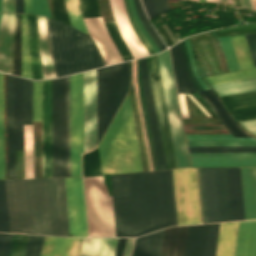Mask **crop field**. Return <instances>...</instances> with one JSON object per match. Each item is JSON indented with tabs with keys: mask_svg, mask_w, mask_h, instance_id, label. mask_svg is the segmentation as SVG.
I'll return each instance as SVG.
<instances>
[{
	"mask_svg": "<svg viewBox=\"0 0 256 256\" xmlns=\"http://www.w3.org/2000/svg\"><path fill=\"white\" fill-rule=\"evenodd\" d=\"M10 232L87 236L82 178L5 180Z\"/></svg>",
	"mask_w": 256,
	"mask_h": 256,
	"instance_id": "1",
	"label": "crop field"
},
{
	"mask_svg": "<svg viewBox=\"0 0 256 256\" xmlns=\"http://www.w3.org/2000/svg\"><path fill=\"white\" fill-rule=\"evenodd\" d=\"M116 236L152 231L146 172L111 176Z\"/></svg>",
	"mask_w": 256,
	"mask_h": 256,
	"instance_id": "2",
	"label": "crop field"
},
{
	"mask_svg": "<svg viewBox=\"0 0 256 256\" xmlns=\"http://www.w3.org/2000/svg\"><path fill=\"white\" fill-rule=\"evenodd\" d=\"M98 149L103 175L143 171L129 95Z\"/></svg>",
	"mask_w": 256,
	"mask_h": 256,
	"instance_id": "3",
	"label": "crop field"
},
{
	"mask_svg": "<svg viewBox=\"0 0 256 256\" xmlns=\"http://www.w3.org/2000/svg\"><path fill=\"white\" fill-rule=\"evenodd\" d=\"M46 22L57 77L104 65L86 34L60 21Z\"/></svg>",
	"mask_w": 256,
	"mask_h": 256,
	"instance_id": "4",
	"label": "crop field"
},
{
	"mask_svg": "<svg viewBox=\"0 0 256 256\" xmlns=\"http://www.w3.org/2000/svg\"><path fill=\"white\" fill-rule=\"evenodd\" d=\"M128 91V62L97 70L98 142Z\"/></svg>",
	"mask_w": 256,
	"mask_h": 256,
	"instance_id": "5",
	"label": "crop field"
},
{
	"mask_svg": "<svg viewBox=\"0 0 256 256\" xmlns=\"http://www.w3.org/2000/svg\"><path fill=\"white\" fill-rule=\"evenodd\" d=\"M90 236H115L112 197L103 176L84 178Z\"/></svg>",
	"mask_w": 256,
	"mask_h": 256,
	"instance_id": "6",
	"label": "crop field"
},
{
	"mask_svg": "<svg viewBox=\"0 0 256 256\" xmlns=\"http://www.w3.org/2000/svg\"><path fill=\"white\" fill-rule=\"evenodd\" d=\"M153 231L177 225L172 170L147 172Z\"/></svg>",
	"mask_w": 256,
	"mask_h": 256,
	"instance_id": "7",
	"label": "crop field"
},
{
	"mask_svg": "<svg viewBox=\"0 0 256 256\" xmlns=\"http://www.w3.org/2000/svg\"><path fill=\"white\" fill-rule=\"evenodd\" d=\"M53 177L67 176L66 77L52 80Z\"/></svg>",
	"mask_w": 256,
	"mask_h": 256,
	"instance_id": "8",
	"label": "crop field"
},
{
	"mask_svg": "<svg viewBox=\"0 0 256 256\" xmlns=\"http://www.w3.org/2000/svg\"><path fill=\"white\" fill-rule=\"evenodd\" d=\"M207 222L231 220L226 168H202Z\"/></svg>",
	"mask_w": 256,
	"mask_h": 256,
	"instance_id": "9",
	"label": "crop field"
},
{
	"mask_svg": "<svg viewBox=\"0 0 256 256\" xmlns=\"http://www.w3.org/2000/svg\"><path fill=\"white\" fill-rule=\"evenodd\" d=\"M178 168L189 167L168 50L158 54Z\"/></svg>",
	"mask_w": 256,
	"mask_h": 256,
	"instance_id": "10",
	"label": "crop field"
},
{
	"mask_svg": "<svg viewBox=\"0 0 256 256\" xmlns=\"http://www.w3.org/2000/svg\"><path fill=\"white\" fill-rule=\"evenodd\" d=\"M178 225L200 223L195 168L173 170Z\"/></svg>",
	"mask_w": 256,
	"mask_h": 256,
	"instance_id": "11",
	"label": "crop field"
},
{
	"mask_svg": "<svg viewBox=\"0 0 256 256\" xmlns=\"http://www.w3.org/2000/svg\"><path fill=\"white\" fill-rule=\"evenodd\" d=\"M71 176H81L84 152L83 73L70 76Z\"/></svg>",
	"mask_w": 256,
	"mask_h": 256,
	"instance_id": "12",
	"label": "crop field"
},
{
	"mask_svg": "<svg viewBox=\"0 0 256 256\" xmlns=\"http://www.w3.org/2000/svg\"><path fill=\"white\" fill-rule=\"evenodd\" d=\"M147 66L149 71L150 83L152 88V94L154 99L155 111L157 116V122L159 127L160 139L162 144V150L164 155L166 169L177 168L175 154L173 149L171 131L169 126L168 114L166 109L165 97L163 92L161 74L159 69L157 55L147 57ZM158 69L160 75V81H153L151 74L154 71L155 78H157L156 70Z\"/></svg>",
	"mask_w": 256,
	"mask_h": 256,
	"instance_id": "13",
	"label": "crop field"
},
{
	"mask_svg": "<svg viewBox=\"0 0 256 256\" xmlns=\"http://www.w3.org/2000/svg\"><path fill=\"white\" fill-rule=\"evenodd\" d=\"M83 17L101 15L98 0H79ZM107 65L122 62L101 16L83 18Z\"/></svg>",
	"mask_w": 256,
	"mask_h": 256,
	"instance_id": "14",
	"label": "crop field"
},
{
	"mask_svg": "<svg viewBox=\"0 0 256 256\" xmlns=\"http://www.w3.org/2000/svg\"><path fill=\"white\" fill-rule=\"evenodd\" d=\"M85 152L97 145L96 70L84 73Z\"/></svg>",
	"mask_w": 256,
	"mask_h": 256,
	"instance_id": "15",
	"label": "crop field"
},
{
	"mask_svg": "<svg viewBox=\"0 0 256 256\" xmlns=\"http://www.w3.org/2000/svg\"><path fill=\"white\" fill-rule=\"evenodd\" d=\"M43 177H52L51 80L42 81Z\"/></svg>",
	"mask_w": 256,
	"mask_h": 256,
	"instance_id": "16",
	"label": "crop field"
},
{
	"mask_svg": "<svg viewBox=\"0 0 256 256\" xmlns=\"http://www.w3.org/2000/svg\"><path fill=\"white\" fill-rule=\"evenodd\" d=\"M110 2L116 23L134 58L149 55L132 28L124 0H110Z\"/></svg>",
	"mask_w": 256,
	"mask_h": 256,
	"instance_id": "17",
	"label": "crop field"
},
{
	"mask_svg": "<svg viewBox=\"0 0 256 256\" xmlns=\"http://www.w3.org/2000/svg\"><path fill=\"white\" fill-rule=\"evenodd\" d=\"M140 76L158 170L165 169L145 58L140 59Z\"/></svg>",
	"mask_w": 256,
	"mask_h": 256,
	"instance_id": "18",
	"label": "crop field"
},
{
	"mask_svg": "<svg viewBox=\"0 0 256 256\" xmlns=\"http://www.w3.org/2000/svg\"><path fill=\"white\" fill-rule=\"evenodd\" d=\"M190 156H256V153H189ZM193 167L256 166V157H191Z\"/></svg>",
	"mask_w": 256,
	"mask_h": 256,
	"instance_id": "19",
	"label": "crop field"
},
{
	"mask_svg": "<svg viewBox=\"0 0 256 256\" xmlns=\"http://www.w3.org/2000/svg\"><path fill=\"white\" fill-rule=\"evenodd\" d=\"M31 78L43 79L37 20L35 15H25Z\"/></svg>",
	"mask_w": 256,
	"mask_h": 256,
	"instance_id": "20",
	"label": "crop field"
},
{
	"mask_svg": "<svg viewBox=\"0 0 256 256\" xmlns=\"http://www.w3.org/2000/svg\"><path fill=\"white\" fill-rule=\"evenodd\" d=\"M221 99L237 121L256 118V91L223 96Z\"/></svg>",
	"mask_w": 256,
	"mask_h": 256,
	"instance_id": "21",
	"label": "crop field"
},
{
	"mask_svg": "<svg viewBox=\"0 0 256 256\" xmlns=\"http://www.w3.org/2000/svg\"><path fill=\"white\" fill-rule=\"evenodd\" d=\"M8 178H15L14 76L7 75Z\"/></svg>",
	"mask_w": 256,
	"mask_h": 256,
	"instance_id": "22",
	"label": "crop field"
},
{
	"mask_svg": "<svg viewBox=\"0 0 256 256\" xmlns=\"http://www.w3.org/2000/svg\"><path fill=\"white\" fill-rule=\"evenodd\" d=\"M83 238L45 237L41 256H79Z\"/></svg>",
	"mask_w": 256,
	"mask_h": 256,
	"instance_id": "23",
	"label": "crop field"
},
{
	"mask_svg": "<svg viewBox=\"0 0 256 256\" xmlns=\"http://www.w3.org/2000/svg\"><path fill=\"white\" fill-rule=\"evenodd\" d=\"M14 15L2 14L0 23V71L10 74Z\"/></svg>",
	"mask_w": 256,
	"mask_h": 256,
	"instance_id": "24",
	"label": "crop field"
},
{
	"mask_svg": "<svg viewBox=\"0 0 256 256\" xmlns=\"http://www.w3.org/2000/svg\"><path fill=\"white\" fill-rule=\"evenodd\" d=\"M232 220L245 219L240 168H227Z\"/></svg>",
	"mask_w": 256,
	"mask_h": 256,
	"instance_id": "25",
	"label": "crop field"
},
{
	"mask_svg": "<svg viewBox=\"0 0 256 256\" xmlns=\"http://www.w3.org/2000/svg\"><path fill=\"white\" fill-rule=\"evenodd\" d=\"M234 256H256V221L239 222Z\"/></svg>",
	"mask_w": 256,
	"mask_h": 256,
	"instance_id": "26",
	"label": "crop field"
},
{
	"mask_svg": "<svg viewBox=\"0 0 256 256\" xmlns=\"http://www.w3.org/2000/svg\"><path fill=\"white\" fill-rule=\"evenodd\" d=\"M246 219L256 218V168H241Z\"/></svg>",
	"mask_w": 256,
	"mask_h": 256,
	"instance_id": "27",
	"label": "crop field"
},
{
	"mask_svg": "<svg viewBox=\"0 0 256 256\" xmlns=\"http://www.w3.org/2000/svg\"><path fill=\"white\" fill-rule=\"evenodd\" d=\"M187 226L165 230L161 256H183Z\"/></svg>",
	"mask_w": 256,
	"mask_h": 256,
	"instance_id": "28",
	"label": "crop field"
},
{
	"mask_svg": "<svg viewBox=\"0 0 256 256\" xmlns=\"http://www.w3.org/2000/svg\"><path fill=\"white\" fill-rule=\"evenodd\" d=\"M170 52L178 93L196 92V89L188 76L180 45L178 44L174 48L170 49Z\"/></svg>",
	"mask_w": 256,
	"mask_h": 256,
	"instance_id": "29",
	"label": "crop field"
},
{
	"mask_svg": "<svg viewBox=\"0 0 256 256\" xmlns=\"http://www.w3.org/2000/svg\"><path fill=\"white\" fill-rule=\"evenodd\" d=\"M188 139H256L231 135H187ZM188 146H256V140H187Z\"/></svg>",
	"mask_w": 256,
	"mask_h": 256,
	"instance_id": "30",
	"label": "crop field"
},
{
	"mask_svg": "<svg viewBox=\"0 0 256 256\" xmlns=\"http://www.w3.org/2000/svg\"><path fill=\"white\" fill-rule=\"evenodd\" d=\"M118 238H84L80 256H114Z\"/></svg>",
	"mask_w": 256,
	"mask_h": 256,
	"instance_id": "31",
	"label": "crop field"
},
{
	"mask_svg": "<svg viewBox=\"0 0 256 256\" xmlns=\"http://www.w3.org/2000/svg\"><path fill=\"white\" fill-rule=\"evenodd\" d=\"M208 224L188 226L184 256H204Z\"/></svg>",
	"mask_w": 256,
	"mask_h": 256,
	"instance_id": "32",
	"label": "crop field"
},
{
	"mask_svg": "<svg viewBox=\"0 0 256 256\" xmlns=\"http://www.w3.org/2000/svg\"><path fill=\"white\" fill-rule=\"evenodd\" d=\"M202 98L209 104V106L218 115L230 133L236 137H250L236 124V122L229 116L225 108L220 104L214 96L211 89L199 92Z\"/></svg>",
	"mask_w": 256,
	"mask_h": 256,
	"instance_id": "33",
	"label": "crop field"
},
{
	"mask_svg": "<svg viewBox=\"0 0 256 256\" xmlns=\"http://www.w3.org/2000/svg\"><path fill=\"white\" fill-rule=\"evenodd\" d=\"M238 222L220 223L215 256H233Z\"/></svg>",
	"mask_w": 256,
	"mask_h": 256,
	"instance_id": "34",
	"label": "crop field"
},
{
	"mask_svg": "<svg viewBox=\"0 0 256 256\" xmlns=\"http://www.w3.org/2000/svg\"><path fill=\"white\" fill-rule=\"evenodd\" d=\"M163 232L136 238L133 256H160Z\"/></svg>",
	"mask_w": 256,
	"mask_h": 256,
	"instance_id": "35",
	"label": "crop field"
},
{
	"mask_svg": "<svg viewBox=\"0 0 256 256\" xmlns=\"http://www.w3.org/2000/svg\"><path fill=\"white\" fill-rule=\"evenodd\" d=\"M16 149H23V79L15 76Z\"/></svg>",
	"mask_w": 256,
	"mask_h": 256,
	"instance_id": "36",
	"label": "crop field"
},
{
	"mask_svg": "<svg viewBox=\"0 0 256 256\" xmlns=\"http://www.w3.org/2000/svg\"><path fill=\"white\" fill-rule=\"evenodd\" d=\"M37 20L44 79L53 78L56 76L48 50L45 18L37 16Z\"/></svg>",
	"mask_w": 256,
	"mask_h": 256,
	"instance_id": "37",
	"label": "crop field"
},
{
	"mask_svg": "<svg viewBox=\"0 0 256 256\" xmlns=\"http://www.w3.org/2000/svg\"><path fill=\"white\" fill-rule=\"evenodd\" d=\"M219 96L256 90V78L231 83L213 85Z\"/></svg>",
	"mask_w": 256,
	"mask_h": 256,
	"instance_id": "38",
	"label": "crop field"
},
{
	"mask_svg": "<svg viewBox=\"0 0 256 256\" xmlns=\"http://www.w3.org/2000/svg\"><path fill=\"white\" fill-rule=\"evenodd\" d=\"M240 68H249V67H253V62L250 56V53L248 51L245 39L243 35L240 36H233L230 37Z\"/></svg>",
	"mask_w": 256,
	"mask_h": 256,
	"instance_id": "39",
	"label": "crop field"
},
{
	"mask_svg": "<svg viewBox=\"0 0 256 256\" xmlns=\"http://www.w3.org/2000/svg\"><path fill=\"white\" fill-rule=\"evenodd\" d=\"M107 30L117 47L123 61L133 59V56L124 42L115 22L106 24Z\"/></svg>",
	"mask_w": 256,
	"mask_h": 256,
	"instance_id": "40",
	"label": "crop field"
},
{
	"mask_svg": "<svg viewBox=\"0 0 256 256\" xmlns=\"http://www.w3.org/2000/svg\"><path fill=\"white\" fill-rule=\"evenodd\" d=\"M102 175L98 149L83 154V176Z\"/></svg>",
	"mask_w": 256,
	"mask_h": 256,
	"instance_id": "41",
	"label": "crop field"
},
{
	"mask_svg": "<svg viewBox=\"0 0 256 256\" xmlns=\"http://www.w3.org/2000/svg\"><path fill=\"white\" fill-rule=\"evenodd\" d=\"M256 77V69L204 78L210 85Z\"/></svg>",
	"mask_w": 256,
	"mask_h": 256,
	"instance_id": "42",
	"label": "crop field"
},
{
	"mask_svg": "<svg viewBox=\"0 0 256 256\" xmlns=\"http://www.w3.org/2000/svg\"><path fill=\"white\" fill-rule=\"evenodd\" d=\"M67 3V8L69 12V17L72 26L76 27L80 31L84 33H88L87 28L84 24V21L82 19L81 11H80V6H79V1L78 0H66Z\"/></svg>",
	"mask_w": 256,
	"mask_h": 256,
	"instance_id": "43",
	"label": "crop field"
},
{
	"mask_svg": "<svg viewBox=\"0 0 256 256\" xmlns=\"http://www.w3.org/2000/svg\"><path fill=\"white\" fill-rule=\"evenodd\" d=\"M0 179H4L3 74L0 73Z\"/></svg>",
	"mask_w": 256,
	"mask_h": 256,
	"instance_id": "44",
	"label": "crop field"
},
{
	"mask_svg": "<svg viewBox=\"0 0 256 256\" xmlns=\"http://www.w3.org/2000/svg\"><path fill=\"white\" fill-rule=\"evenodd\" d=\"M24 125H32V81L24 79Z\"/></svg>",
	"mask_w": 256,
	"mask_h": 256,
	"instance_id": "45",
	"label": "crop field"
},
{
	"mask_svg": "<svg viewBox=\"0 0 256 256\" xmlns=\"http://www.w3.org/2000/svg\"><path fill=\"white\" fill-rule=\"evenodd\" d=\"M135 2V6H136V10L138 13V16L144 26V28L146 29V31L148 32V34L151 36V38L153 39V41L155 42V44L158 46V48L161 50L165 49V46L163 45L162 41L160 40V38L158 37V35L155 33L153 27L151 26L149 20L147 19L140 0H134Z\"/></svg>",
	"mask_w": 256,
	"mask_h": 256,
	"instance_id": "46",
	"label": "crop field"
},
{
	"mask_svg": "<svg viewBox=\"0 0 256 256\" xmlns=\"http://www.w3.org/2000/svg\"><path fill=\"white\" fill-rule=\"evenodd\" d=\"M0 232H9L4 180H0Z\"/></svg>",
	"mask_w": 256,
	"mask_h": 256,
	"instance_id": "47",
	"label": "crop field"
},
{
	"mask_svg": "<svg viewBox=\"0 0 256 256\" xmlns=\"http://www.w3.org/2000/svg\"><path fill=\"white\" fill-rule=\"evenodd\" d=\"M189 152H256V147H188Z\"/></svg>",
	"mask_w": 256,
	"mask_h": 256,
	"instance_id": "48",
	"label": "crop field"
},
{
	"mask_svg": "<svg viewBox=\"0 0 256 256\" xmlns=\"http://www.w3.org/2000/svg\"><path fill=\"white\" fill-rule=\"evenodd\" d=\"M22 76L30 78L24 15H21Z\"/></svg>",
	"mask_w": 256,
	"mask_h": 256,
	"instance_id": "49",
	"label": "crop field"
},
{
	"mask_svg": "<svg viewBox=\"0 0 256 256\" xmlns=\"http://www.w3.org/2000/svg\"><path fill=\"white\" fill-rule=\"evenodd\" d=\"M13 74L21 76L20 15H17Z\"/></svg>",
	"mask_w": 256,
	"mask_h": 256,
	"instance_id": "50",
	"label": "crop field"
},
{
	"mask_svg": "<svg viewBox=\"0 0 256 256\" xmlns=\"http://www.w3.org/2000/svg\"><path fill=\"white\" fill-rule=\"evenodd\" d=\"M29 235L13 236L9 256H24Z\"/></svg>",
	"mask_w": 256,
	"mask_h": 256,
	"instance_id": "51",
	"label": "crop field"
},
{
	"mask_svg": "<svg viewBox=\"0 0 256 256\" xmlns=\"http://www.w3.org/2000/svg\"><path fill=\"white\" fill-rule=\"evenodd\" d=\"M33 121H41V81H33Z\"/></svg>",
	"mask_w": 256,
	"mask_h": 256,
	"instance_id": "52",
	"label": "crop field"
},
{
	"mask_svg": "<svg viewBox=\"0 0 256 256\" xmlns=\"http://www.w3.org/2000/svg\"><path fill=\"white\" fill-rule=\"evenodd\" d=\"M219 223L209 224L205 256H214Z\"/></svg>",
	"mask_w": 256,
	"mask_h": 256,
	"instance_id": "53",
	"label": "crop field"
},
{
	"mask_svg": "<svg viewBox=\"0 0 256 256\" xmlns=\"http://www.w3.org/2000/svg\"><path fill=\"white\" fill-rule=\"evenodd\" d=\"M44 237L30 235L25 256H40Z\"/></svg>",
	"mask_w": 256,
	"mask_h": 256,
	"instance_id": "54",
	"label": "crop field"
},
{
	"mask_svg": "<svg viewBox=\"0 0 256 256\" xmlns=\"http://www.w3.org/2000/svg\"><path fill=\"white\" fill-rule=\"evenodd\" d=\"M51 1H52L55 18L70 24L65 0H51Z\"/></svg>",
	"mask_w": 256,
	"mask_h": 256,
	"instance_id": "55",
	"label": "crop field"
},
{
	"mask_svg": "<svg viewBox=\"0 0 256 256\" xmlns=\"http://www.w3.org/2000/svg\"><path fill=\"white\" fill-rule=\"evenodd\" d=\"M254 31H256V24L226 28V29L215 31V33L217 36H221V35H229V34H237V33H245V32H254Z\"/></svg>",
	"mask_w": 256,
	"mask_h": 256,
	"instance_id": "56",
	"label": "crop field"
},
{
	"mask_svg": "<svg viewBox=\"0 0 256 256\" xmlns=\"http://www.w3.org/2000/svg\"><path fill=\"white\" fill-rule=\"evenodd\" d=\"M32 13L51 18L48 1L32 0Z\"/></svg>",
	"mask_w": 256,
	"mask_h": 256,
	"instance_id": "57",
	"label": "crop field"
},
{
	"mask_svg": "<svg viewBox=\"0 0 256 256\" xmlns=\"http://www.w3.org/2000/svg\"><path fill=\"white\" fill-rule=\"evenodd\" d=\"M188 95L197 104V106L205 113L206 116H210L208 112L202 107V105L193 97V95L191 94H188ZM178 97H179L183 118H189L185 95H178Z\"/></svg>",
	"mask_w": 256,
	"mask_h": 256,
	"instance_id": "58",
	"label": "crop field"
},
{
	"mask_svg": "<svg viewBox=\"0 0 256 256\" xmlns=\"http://www.w3.org/2000/svg\"><path fill=\"white\" fill-rule=\"evenodd\" d=\"M184 43H185L187 53H188V56H189V59H190L191 65H192V69H193V72H194V75H195L196 79L200 83L203 90L208 89L209 88L208 85L203 81V79L201 78V76H200V74H199V72H198V70L195 66L192 51H191L190 44H189V40L184 41Z\"/></svg>",
	"mask_w": 256,
	"mask_h": 256,
	"instance_id": "59",
	"label": "crop field"
},
{
	"mask_svg": "<svg viewBox=\"0 0 256 256\" xmlns=\"http://www.w3.org/2000/svg\"><path fill=\"white\" fill-rule=\"evenodd\" d=\"M130 5H131V10H132V14L134 16V19L139 27V29L141 30V32L143 33V35L145 36V38L147 39V41L149 42V44L151 45V47L153 48V50L155 51V53L159 52V49L157 48V46L154 44V42L152 41V39L150 38V36L147 34V32L145 31V29L143 28L141 22L138 19L136 10H135V6H134V2L133 0H130Z\"/></svg>",
	"mask_w": 256,
	"mask_h": 256,
	"instance_id": "60",
	"label": "crop field"
},
{
	"mask_svg": "<svg viewBox=\"0 0 256 256\" xmlns=\"http://www.w3.org/2000/svg\"><path fill=\"white\" fill-rule=\"evenodd\" d=\"M13 234L0 233V256H8Z\"/></svg>",
	"mask_w": 256,
	"mask_h": 256,
	"instance_id": "61",
	"label": "crop field"
},
{
	"mask_svg": "<svg viewBox=\"0 0 256 256\" xmlns=\"http://www.w3.org/2000/svg\"><path fill=\"white\" fill-rule=\"evenodd\" d=\"M218 39H219L220 45L222 47V50H223L226 62L228 64L229 70L230 71L236 70L235 66H234V63H233V60H232V57H231V53H230L226 38L221 37V38H218Z\"/></svg>",
	"mask_w": 256,
	"mask_h": 256,
	"instance_id": "62",
	"label": "crop field"
},
{
	"mask_svg": "<svg viewBox=\"0 0 256 256\" xmlns=\"http://www.w3.org/2000/svg\"><path fill=\"white\" fill-rule=\"evenodd\" d=\"M126 2V6H127V10H128V14L130 16V19H131V22L133 24V27L136 31V33L138 34V36L140 37V39L142 40V42L144 43V45L146 46V48L148 49V51L150 52V54H154V51L152 50V48L150 47V45L148 44V42L146 41V39L144 38V36L142 35V33L140 32V30L138 29L134 19H133V16L131 14V10H130V5H129V1L128 0H125Z\"/></svg>",
	"mask_w": 256,
	"mask_h": 256,
	"instance_id": "63",
	"label": "crop field"
},
{
	"mask_svg": "<svg viewBox=\"0 0 256 256\" xmlns=\"http://www.w3.org/2000/svg\"><path fill=\"white\" fill-rule=\"evenodd\" d=\"M250 50L254 65L256 66V34L244 35Z\"/></svg>",
	"mask_w": 256,
	"mask_h": 256,
	"instance_id": "64",
	"label": "crop field"
},
{
	"mask_svg": "<svg viewBox=\"0 0 256 256\" xmlns=\"http://www.w3.org/2000/svg\"><path fill=\"white\" fill-rule=\"evenodd\" d=\"M180 45H181V49H182V52H183V55H184L186 66H187V69H188V72H189V76H190L193 84L195 85L197 91H200V90H202V88L200 87V85L198 84L197 80L195 79V77L193 75V72H192L191 65H190V62H189V59H188V56H187V53H186V49H185L184 43L182 42V43H180Z\"/></svg>",
	"mask_w": 256,
	"mask_h": 256,
	"instance_id": "65",
	"label": "crop field"
},
{
	"mask_svg": "<svg viewBox=\"0 0 256 256\" xmlns=\"http://www.w3.org/2000/svg\"><path fill=\"white\" fill-rule=\"evenodd\" d=\"M151 1L153 3L154 9L157 15L171 9L167 0H151Z\"/></svg>",
	"mask_w": 256,
	"mask_h": 256,
	"instance_id": "66",
	"label": "crop field"
},
{
	"mask_svg": "<svg viewBox=\"0 0 256 256\" xmlns=\"http://www.w3.org/2000/svg\"><path fill=\"white\" fill-rule=\"evenodd\" d=\"M67 113H68V176H70L69 76L67 77Z\"/></svg>",
	"mask_w": 256,
	"mask_h": 256,
	"instance_id": "67",
	"label": "crop field"
},
{
	"mask_svg": "<svg viewBox=\"0 0 256 256\" xmlns=\"http://www.w3.org/2000/svg\"><path fill=\"white\" fill-rule=\"evenodd\" d=\"M162 27L164 28V30L166 31V33L168 34L169 38L171 39V41L174 43H176V39L173 36V34L171 33V31L168 29V27L166 25H162ZM161 26H158V30L160 31V33L162 34V36L164 37L165 41L167 42L168 46L172 45V42L170 41V39L168 38V36L166 35L165 31L163 30Z\"/></svg>",
	"mask_w": 256,
	"mask_h": 256,
	"instance_id": "68",
	"label": "crop field"
},
{
	"mask_svg": "<svg viewBox=\"0 0 256 256\" xmlns=\"http://www.w3.org/2000/svg\"><path fill=\"white\" fill-rule=\"evenodd\" d=\"M198 173H199V184H200V196H201L202 218H203V223H205V222H206V217H205V206H204V195H203V184H202L201 168H198Z\"/></svg>",
	"mask_w": 256,
	"mask_h": 256,
	"instance_id": "69",
	"label": "crop field"
},
{
	"mask_svg": "<svg viewBox=\"0 0 256 256\" xmlns=\"http://www.w3.org/2000/svg\"><path fill=\"white\" fill-rule=\"evenodd\" d=\"M240 124L244 127V129L256 134V119L242 121V122H240Z\"/></svg>",
	"mask_w": 256,
	"mask_h": 256,
	"instance_id": "70",
	"label": "crop field"
},
{
	"mask_svg": "<svg viewBox=\"0 0 256 256\" xmlns=\"http://www.w3.org/2000/svg\"><path fill=\"white\" fill-rule=\"evenodd\" d=\"M15 0H2V12L14 13Z\"/></svg>",
	"mask_w": 256,
	"mask_h": 256,
	"instance_id": "71",
	"label": "crop field"
},
{
	"mask_svg": "<svg viewBox=\"0 0 256 256\" xmlns=\"http://www.w3.org/2000/svg\"><path fill=\"white\" fill-rule=\"evenodd\" d=\"M127 238H119L115 256H123Z\"/></svg>",
	"mask_w": 256,
	"mask_h": 256,
	"instance_id": "72",
	"label": "crop field"
},
{
	"mask_svg": "<svg viewBox=\"0 0 256 256\" xmlns=\"http://www.w3.org/2000/svg\"><path fill=\"white\" fill-rule=\"evenodd\" d=\"M142 1L144 3V6L146 8V11H147L150 19L153 18L154 16H156L151 1L150 0H142Z\"/></svg>",
	"mask_w": 256,
	"mask_h": 256,
	"instance_id": "73",
	"label": "crop field"
},
{
	"mask_svg": "<svg viewBox=\"0 0 256 256\" xmlns=\"http://www.w3.org/2000/svg\"><path fill=\"white\" fill-rule=\"evenodd\" d=\"M134 238H128L124 256H130Z\"/></svg>",
	"mask_w": 256,
	"mask_h": 256,
	"instance_id": "74",
	"label": "crop field"
},
{
	"mask_svg": "<svg viewBox=\"0 0 256 256\" xmlns=\"http://www.w3.org/2000/svg\"><path fill=\"white\" fill-rule=\"evenodd\" d=\"M23 1L24 0L15 1V13H23Z\"/></svg>",
	"mask_w": 256,
	"mask_h": 256,
	"instance_id": "75",
	"label": "crop field"
},
{
	"mask_svg": "<svg viewBox=\"0 0 256 256\" xmlns=\"http://www.w3.org/2000/svg\"><path fill=\"white\" fill-rule=\"evenodd\" d=\"M253 3H254V7L256 9V0H253ZM240 4L242 7L244 4V7L252 8L251 0H243V4H242V0H240Z\"/></svg>",
	"mask_w": 256,
	"mask_h": 256,
	"instance_id": "76",
	"label": "crop field"
},
{
	"mask_svg": "<svg viewBox=\"0 0 256 256\" xmlns=\"http://www.w3.org/2000/svg\"><path fill=\"white\" fill-rule=\"evenodd\" d=\"M24 13H31V0L24 1Z\"/></svg>",
	"mask_w": 256,
	"mask_h": 256,
	"instance_id": "77",
	"label": "crop field"
},
{
	"mask_svg": "<svg viewBox=\"0 0 256 256\" xmlns=\"http://www.w3.org/2000/svg\"><path fill=\"white\" fill-rule=\"evenodd\" d=\"M227 38H228V41H229V44H230V47H231V50H232V54H233L237 69L240 70L237 59H236V56H235V53H234V50H233V47H232V44H231V41H230V38L229 37H227Z\"/></svg>",
	"mask_w": 256,
	"mask_h": 256,
	"instance_id": "78",
	"label": "crop field"
},
{
	"mask_svg": "<svg viewBox=\"0 0 256 256\" xmlns=\"http://www.w3.org/2000/svg\"><path fill=\"white\" fill-rule=\"evenodd\" d=\"M15 22H16V15H15ZM15 22H14V37H15ZM14 37H13V52H14ZM13 52H12V67H13ZM12 67H11V74H12Z\"/></svg>",
	"mask_w": 256,
	"mask_h": 256,
	"instance_id": "79",
	"label": "crop field"
},
{
	"mask_svg": "<svg viewBox=\"0 0 256 256\" xmlns=\"http://www.w3.org/2000/svg\"><path fill=\"white\" fill-rule=\"evenodd\" d=\"M207 2L219 3V0H207Z\"/></svg>",
	"mask_w": 256,
	"mask_h": 256,
	"instance_id": "80",
	"label": "crop field"
},
{
	"mask_svg": "<svg viewBox=\"0 0 256 256\" xmlns=\"http://www.w3.org/2000/svg\"><path fill=\"white\" fill-rule=\"evenodd\" d=\"M221 2H223V3H224V0H221ZM225 3H227V0H225Z\"/></svg>",
	"mask_w": 256,
	"mask_h": 256,
	"instance_id": "81",
	"label": "crop field"
},
{
	"mask_svg": "<svg viewBox=\"0 0 256 256\" xmlns=\"http://www.w3.org/2000/svg\"><path fill=\"white\" fill-rule=\"evenodd\" d=\"M0 12H1V0H0Z\"/></svg>",
	"mask_w": 256,
	"mask_h": 256,
	"instance_id": "82",
	"label": "crop field"
},
{
	"mask_svg": "<svg viewBox=\"0 0 256 256\" xmlns=\"http://www.w3.org/2000/svg\"><path fill=\"white\" fill-rule=\"evenodd\" d=\"M190 1H195V2H198V0H190Z\"/></svg>",
	"mask_w": 256,
	"mask_h": 256,
	"instance_id": "83",
	"label": "crop field"
},
{
	"mask_svg": "<svg viewBox=\"0 0 256 256\" xmlns=\"http://www.w3.org/2000/svg\"><path fill=\"white\" fill-rule=\"evenodd\" d=\"M206 1V0H199V2Z\"/></svg>",
	"mask_w": 256,
	"mask_h": 256,
	"instance_id": "84",
	"label": "crop field"
},
{
	"mask_svg": "<svg viewBox=\"0 0 256 256\" xmlns=\"http://www.w3.org/2000/svg\"><path fill=\"white\" fill-rule=\"evenodd\" d=\"M0 17H1V14H0Z\"/></svg>",
	"mask_w": 256,
	"mask_h": 256,
	"instance_id": "85",
	"label": "crop field"
}]
</instances>
